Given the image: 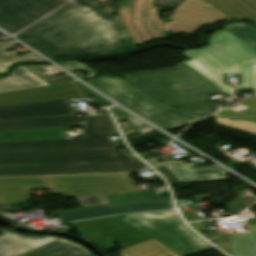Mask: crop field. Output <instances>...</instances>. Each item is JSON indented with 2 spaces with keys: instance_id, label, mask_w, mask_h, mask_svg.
Listing matches in <instances>:
<instances>
[{
  "instance_id": "crop-field-1",
  "label": "crop field",
  "mask_w": 256,
  "mask_h": 256,
  "mask_svg": "<svg viewBox=\"0 0 256 256\" xmlns=\"http://www.w3.org/2000/svg\"><path fill=\"white\" fill-rule=\"evenodd\" d=\"M115 127L109 115L87 117L84 139L1 142L0 176L127 172L146 168L137 158L115 150L118 142L109 139L117 133Z\"/></svg>"
},
{
  "instance_id": "crop-field-2",
  "label": "crop field",
  "mask_w": 256,
  "mask_h": 256,
  "mask_svg": "<svg viewBox=\"0 0 256 256\" xmlns=\"http://www.w3.org/2000/svg\"><path fill=\"white\" fill-rule=\"evenodd\" d=\"M48 58L118 49L132 40L120 18L89 0H76L17 36Z\"/></svg>"
},
{
  "instance_id": "crop-field-3",
  "label": "crop field",
  "mask_w": 256,
  "mask_h": 256,
  "mask_svg": "<svg viewBox=\"0 0 256 256\" xmlns=\"http://www.w3.org/2000/svg\"><path fill=\"white\" fill-rule=\"evenodd\" d=\"M118 12L136 46L154 39H167L163 31L192 35L201 26L229 19L204 0H186L164 22L155 0H122Z\"/></svg>"
},
{
  "instance_id": "crop-field-4",
  "label": "crop field",
  "mask_w": 256,
  "mask_h": 256,
  "mask_svg": "<svg viewBox=\"0 0 256 256\" xmlns=\"http://www.w3.org/2000/svg\"><path fill=\"white\" fill-rule=\"evenodd\" d=\"M125 78L149 96L189 113L216 114L220 103H206L204 95L223 93L230 98L183 63L174 69L143 72Z\"/></svg>"
},
{
  "instance_id": "crop-field-5",
  "label": "crop field",
  "mask_w": 256,
  "mask_h": 256,
  "mask_svg": "<svg viewBox=\"0 0 256 256\" xmlns=\"http://www.w3.org/2000/svg\"><path fill=\"white\" fill-rule=\"evenodd\" d=\"M209 44L183 52L190 59L184 63L232 97L226 75L241 77L242 86L236 90L253 89L251 64H256V52L226 30L210 37Z\"/></svg>"
},
{
  "instance_id": "crop-field-6",
  "label": "crop field",
  "mask_w": 256,
  "mask_h": 256,
  "mask_svg": "<svg viewBox=\"0 0 256 256\" xmlns=\"http://www.w3.org/2000/svg\"><path fill=\"white\" fill-rule=\"evenodd\" d=\"M87 82L165 130L210 118L188 114L155 101L122 77L103 76Z\"/></svg>"
},
{
  "instance_id": "crop-field-7",
  "label": "crop field",
  "mask_w": 256,
  "mask_h": 256,
  "mask_svg": "<svg viewBox=\"0 0 256 256\" xmlns=\"http://www.w3.org/2000/svg\"><path fill=\"white\" fill-rule=\"evenodd\" d=\"M120 219L155 237L178 256L212 248L186 228L173 211L130 215Z\"/></svg>"
},
{
  "instance_id": "crop-field-8",
  "label": "crop field",
  "mask_w": 256,
  "mask_h": 256,
  "mask_svg": "<svg viewBox=\"0 0 256 256\" xmlns=\"http://www.w3.org/2000/svg\"><path fill=\"white\" fill-rule=\"evenodd\" d=\"M80 236L109 250L119 240L122 249L154 239L116 217L74 222Z\"/></svg>"
},
{
  "instance_id": "crop-field-9",
  "label": "crop field",
  "mask_w": 256,
  "mask_h": 256,
  "mask_svg": "<svg viewBox=\"0 0 256 256\" xmlns=\"http://www.w3.org/2000/svg\"><path fill=\"white\" fill-rule=\"evenodd\" d=\"M50 180L52 193L63 194L65 197L137 190L127 174L56 176L50 177Z\"/></svg>"
},
{
  "instance_id": "crop-field-10",
  "label": "crop field",
  "mask_w": 256,
  "mask_h": 256,
  "mask_svg": "<svg viewBox=\"0 0 256 256\" xmlns=\"http://www.w3.org/2000/svg\"><path fill=\"white\" fill-rule=\"evenodd\" d=\"M60 5L53 0H0V26L15 33Z\"/></svg>"
},
{
  "instance_id": "crop-field-11",
  "label": "crop field",
  "mask_w": 256,
  "mask_h": 256,
  "mask_svg": "<svg viewBox=\"0 0 256 256\" xmlns=\"http://www.w3.org/2000/svg\"><path fill=\"white\" fill-rule=\"evenodd\" d=\"M85 96L75 83H65L0 94V107Z\"/></svg>"
},
{
  "instance_id": "crop-field-12",
  "label": "crop field",
  "mask_w": 256,
  "mask_h": 256,
  "mask_svg": "<svg viewBox=\"0 0 256 256\" xmlns=\"http://www.w3.org/2000/svg\"><path fill=\"white\" fill-rule=\"evenodd\" d=\"M73 99L75 101H72ZM73 99L2 107L0 108V120L73 114L69 103L77 102L80 99L86 100L85 97Z\"/></svg>"
},
{
  "instance_id": "crop-field-13",
  "label": "crop field",
  "mask_w": 256,
  "mask_h": 256,
  "mask_svg": "<svg viewBox=\"0 0 256 256\" xmlns=\"http://www.w3.org/2000/svg\"><path fill=\"white\" fill-rule=\"evenodd\" d=\"M173 206L171 201L166 202H155V203H144V204H135L127 206L112 207L101 206L87 209H80L68 212L57 213L60 223L67 221H75L99 216L131 213V212H141V211H153V210H165L172 209Z\"/></svg>"
},
{
  "instance_id": "crop-field-14",
  "label": "crop field",
  "mask_w": 256,
  "mask_h": 256,
  "mask_svg": "<svg viewBox=\"0 0 256 256\" xmlns=\"http://www.w3.org/2000/svg\"><path fill=\"white\" fill-rule=\"evenodd\" d=\"M49 188L46 177L0 179V204L27 202L30 189Z\"/></svg>"
},
{
  "instance_id": "crop-field-15",
  "label": "crop field",
  "mask_w": 256,
  "mask_h": 256,
  "mask_svg": "<svg viewBox=\"0 0 256 256\" xmlns=\"http://www.w3.org/2000/svg\"><path fill=\"white\" fill-rule=\"evenodd\" d=\"M59 237L25 236L8 232L0 237V256H19Z\"/></svg>"
},
{
  "instance_id": "crop-field-16",
  "label": "crop field",
  "mask_w": 256,
  "mask_h": 256,
  "mask_svg": "<svg viewBox=\"0 0 256 256\" xmlns=\"http://www.w3.org/2000/svg\"><path fill=\"white\" fill-rule=\"evenodd\" d=\"M83 122H76L75 116L22 119L0 121V130L50 128V127H75L82 126Z\"/></svg>"
},
{
  "instance_id": "crop-field-17",
  "label": "crop field",
  "mask_w": 256,
  "mask_h": 256,
  "mask_svg": "<svg viewBox=\"0 0 256 256\" xmlns=\"http://www.w3.org/2000/svg\"><path fill=\"white\" fill-rule=\"evenodd\" d=\"M167 168L181 183L226 179L225 171L217 166L192 168L188 164Z\"/></svg>"
},
{
  "instance_id": "crop-field-18",
  "label": "crop field",
  "mask_w": 256,
  "mask_h": 256,
  "mask_svg": "<svg viewBox=\"0 0 256 256\" xmlns=\"http://www.w3.org/2000/svg\"><path fill=\"white\" fill-rule=\"evenodd\" d=\"M86 248L66 239L59 238L39 249L21 256H88Z\"/></svg>"
},
{
  "instance_id": "crop-field-19",
  "label": "crop field",
  "mask_w": 256,
  "mask_h": 256,
  "mask_svg": "<svg viewBox=\"0 0 256 256\" xmlns=\"http://www.w3.org/2000/svg\"><path fill=\"white\" fill-rule=\"evenodd\" d=\"M230 18L256 21V0H205Z\"/></svg>"
},
{
  "instance_id": "crop-field-20",
  "label": "crop field",
  "mask_w": 256,
  "mask_h": 256,
  "mask_svg": "<svg viewBox=\"0 0 256 256\" xmlns=\"http://www.w3.org/2000/svg\"><path fill=\"white\" fill-rule=\"evenodd\" d=\"M47 85L24 66L15 68L11 76L0 79V93Z\"/></svg>"
},
{
  "instance_id": "crop-field-21",
  "label": "crop field",
  "mask_w": 256,
  "mask_h": 256,
  "mask_svg": "<svg viewBox=\"0 0 256 256\" xmlns=\"http://www.w3.org/2000/svg\"><path fill=\"white\" fill-rule=\"evenodd\" d=\"M106 197L113 206L171 200L170 196L157 197L154 191L110 194Z\"/></svg>"
},
{
  "instance_id": "crop-field-22",
  "label": "crop field",
  "mask_w": 256,
  "mask_h": 256,
  "mask_svg": "<svg viewBox=\"0 0 256 256\" xmlns=\"http://www.w3.org/2000/svg\"><path fill=\"white\" fill-rule=\"evenodd\" d=\"M121 253V256H177L156 239L121 250Z\"/></svg>"
},
{
  "instance_id": "crop-field-23",
  "label": "crop field",
  "mask_w": 256,
  "mask_h": 256,
  "mask_svg": "<svg viewBox=\"0 0 256 256\" xmlns=\"http://www.w3.org/2000/svg\"><path fill=\"white\" fill-rule=\"evenodd\" d=\"M16 48L12 43H0V72H6L11 64L17 62H44L38 56L30 53L19 57L17 55H9L4 49ZM33 56L34 58H29Z\"/></svg>"
},
{
  "instance_id": "crop-field-24",
  "label": "crop field",
  "mask_w": 256,
  "mask_h": 256,
  "mask_svg": "<svg viewBox=\"0 0 256 256\" xmlns=\"http://www.w3.org/2000/svg\"><path fill=\"white\" fill-rule=\"evenodd\" d=\"M224 29L256 51V28L248 24L235 23L224 27Z\"/></svg>"
},
{
  "instance_id": "crop-field-25",
  "label": "crop field",
  "mask_w": 256,
  "mask_h": 256,
  "mask_svg": "<svg viewBox=\"0 0 256 256\" xmlns=\"http://www.w3.org/2000/svg\"><path fill=\"white\" fill-rule=\"evenodd\" d=\"M216 119L219 124H223L226 126H230L233 128H237L240 130H244V131L256 134V123L246 122V121L233 122V121H229V120H225L217 117Z\"/></svg>"
},
{
  "instance_id": "crop-field-26",
  "label": "crop field",
  "mask_w": 256,
  "mask_h": 256,
  "mask_svg": "<svg viewBox=\"0 0 256 256\" xmlns=\"http://www.w3.org/2000/svg\"><path fill=\"white\" fill-rule=\"evenodd\" d=\"M61 66L64 68L68 69L69 71H84L88 73H93L94 71L82 64L79 61H74V62H66V63H60Z\"/></svg>"
},
{
  "instance_id": "crop-field-27",
  "label": "crop field",
  "mask_w": 256,
  "mask_h": 256,
  "mask_svg": "<svg viewBox=\"0 0 256 256\" xmlns=\"http://www.w3.org/2000/svg\"><path fill=\"white\" fill-rule=\"evenodd\" d=\"M79 86L82 88L84 94L87 97H94L96 99L95 103L96 104H100L102 106H109L111 105V103L105 101L103 98H101L100 96H98L97 94L93 93L92 91L88 90L87 88L83 87L82 85L79 84ZM86 97V98H87ZM88 101V100H87Z\"/></svg>"
},
{
  "instance_id": "crop-field-28",
  "label": "crop field",
  "mask_w": 256,
  "mask_h": 256,
  "mask_svg": "<svg viewBox=\"0 0 256 256\" xmlns=\"http://www.w3.org/2000/svg\"><path fill=\"white\" fill-rule=\"evenodd\" d=\"M256 112V98H235Z\"/></svg>"
},
{
  "instance_id": "crop-field-29",
  "label": "crop field",
  "mask_w": 256,
  "mask_h": 256,
  "mask_svg": "<svg viewBox=\"0 0 256 256\" xmlns=\"http://www.w3.org/2000/svg\"><path fill=\"white\" fill-rule=\"evenodd\" d=\"M112 111H113L117 121L132 117L130 114L126 113L125 111H123L122 109H120L118 107L113 108Z\"/></svg>"
},
{
  "instance_id": "crop-field-30",
  "label": "crop field",
  "mask_w": 256,
  "mask_h": 256,
  "mask_svg": "<svg viewBox=\"0 0 256 256\" xmlns=\"http://www.w3.org/2000/svg\"><path fill=\"white\" fill-rule=\"evenodd\" d=\"M158 161H160V160H158V159L148 160V162L151 163L153 166L182 163V161L167 162V163H155V162H158Z\"/></svg>"
},
{
  "instance_id": "crop-field-31",
  "label": "crop field",
  "mask_w": 256,
  "mask_h": 256,
  "mask_svg": "<svg viewBox=\"0 0 256 256\" xmlns=\"http://www.w3.org/2000/svg\"><path fill=\"white\" fill-rule=\"evenodd\" d=\"M252 71H253L254 93L256 96V65H252Z\"/></svg>"
},
{
  "instance_id": "crop-field-32",
  "label": "crop field",
  "mask_w": 256,
  "mask_h": 256,
  "mask_svg": "<svg viewBox=\"0 0 256 256\" xmlns=\"http://www.w3.org/2000/svg\"><path fill=\"white\" fill-rule=\"evenodd\" d=\"M92 255V254H91ZM92 256H95V255H92Z\"/></svg>"
}]
</instances>
